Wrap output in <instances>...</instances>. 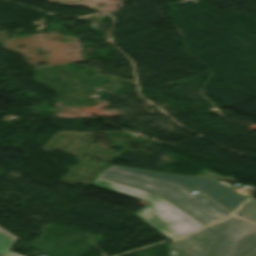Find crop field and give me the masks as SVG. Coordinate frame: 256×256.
I'll use <instances>...</instances> for the list:
<instances>
[{
    "label": "crop field",
    "instance_id": "3",
    "mask_svg": "<svg viewBox=\"0 0 256 256\" xmlns=\"http://www.w3.org/2000/svg\"><path fill=\"white\" fill-rule=\"evenodd\" d=\"M247 221L229 217L187 237L172 242L176 256H224Z\"/></svg>",
    "mask_w": 256,
    "mask_h": 256
},
{
    "label": "crop field",
    "instance_id": "6",
    "mask_svg": "<svg viewBox=\"0 0 256 256\" xmlns=\"http://www.w3.org/2000/svg\"><path fill=\"white\" fill-rule=\"evenodd\" d=\"M235 215L256 222V199L250 198L249 201L235 213Z\"/></svg>",
    "mask_w": 256,
    "mask_h": 256
},
{
    "label": "crop field",
    "instance_id": "1",
    "mask_svg": "<svg viewBox=\"0 0 256 256\" xmlns=\"http://www.w3.org/2000/svg\"><path fill=\"white\" fill-rule=\"evenodd\" d=\"M99 177L158 194L205 226L230 214L201 193L191 195L187 191L197 188L230 212L247 198L214 179L118 166H110Z\"/></svg>",
    "mask_w": 256,
    "mask_h": 256
},
{
    "label": "crop field",
    "instance_id": "5",
    "mask_svg": "<svg viewBox=\"0 0 256 256\" xmlns=\"http://www.w3.org/2000/svg\"><path fill=\"white\" fill-rule=\"evenodd\" d=\"M16 236L7 232L6 230L0 227V255L3 256H20L11 251H8L11 245L16 240Z\"/></svg>",
    "mask_w": 256,
    "mask_h": 256
},
{
    "label": "crop field",
    "instance_id": "4",
    "mask_svg": "<svg viewBox=\"0 0 256 256\" xmlns=\"http://www.w3.org/2000/svg\"><path fill=\"white\" fill-rule=\"evenodd\" d=\"M226 256H256V224L247 223Z\"/></svg>",
    "mask_w": 256,
    "mask_h": 256
},
{
    "label": "crop field",
    "instance_id": "2",
    "mask_svg": "<svg viewBox=\"0 0 256 256\" xmlns=\"http://www.w3.org/2000/svg\"><path fill=\"white\" fill-rule=\"evenodd\" d=\"M91 185L102 187L125 196L148 202L136 215L154 229L171 239L203 227L201 224L155 194L95 179Z\"/></svg>",
    "mask_w": 256,
    "mask_h": 256
}]
</instances>
